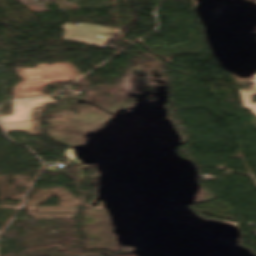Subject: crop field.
Masks as SVG:
<instances>
[{
  "label": "crop field",
  "mask_w": 256,
  "mask_h": 256,
  "mask_svg": "<svg viewBox=\"0 0 256 256\" xmlns=\"http://www.w3.org/2000/svg\"><path fill=\"white\" fill-rule=\"evenodd\" d=\"M37 68L15 69L23 79L13 87L14 99L42 96L46 85L66 83L82 75L70 64H41Z\"/></svg>",
  "instance_id": "8a807250"
}]
</instances>
